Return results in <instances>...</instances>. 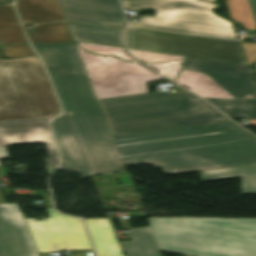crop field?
Listing matches in <instances>:
<instances>
[{
  "label": "crop field",
  "instance_id": "1",
  "mask_svg": "<svg viewBox=\"0 0 256 256\" xmlns=\"http://www.w3.org/2000/svg\"><path fill=\"white\" fill-rule=\"evenodd\" d=\"M93 174L150 163L170 174L256 163V137L231 121L112 136L74 43L33 45Z\"/></svg>",
  "mask_w": 256,
  "mask_h": 256
},
{
  "label": "crop field",
  "instance_id": "2",
  "mask_svg": "<svg viewBox=\"0 0 256 256\" xmlns=\"http://www.w3.org/2000/svg\"><path fill=\"white\" fill-rule=\"evenodd\" d=\"M60 111L38 57L0 60V121L46 119ZM35 142H45L52 174L59 158L47 121L0 123V158L8 157L3 146Z\"/></svg>",
  "mask_w": 256,
  "mask_h": 256
},
{
  "label": "crop field",
  "instance_id": "3",
  "mask_svg": "<svg viewBox=\"0 0 256 256\" xmlns=\"http://www.w3.org/2000/svg\"><path fill=\"white\" fill-rule=\"evenodd\" d=\"M98 101L113 135L228 120L189 92L165 91Z\"/></svg>",
  "mask_w": 256,
  "mask_h": 256
},
{
  "label": "crop field",
  "instance_id": "4",
  "mask_svg": "<svg viewBox=\"0 0 256 256\" xmlns=\"http://www.w3.org/2000/svg\"><path fill=\"white\" fill-rule=\"evenodd\" d=\"M161 251L256 256V219L148 218Z\"/></svg>",
  "mask_w": 256,
  "mask_h": 256
},
{
  "label": "crop field",
  "instance_id": "5",
  "mask_svg": "<svg viewBox=\"0 0 256 256\" xmlns=\"http://www.w3.org/2000/svg\"><path fill=\"white\" fill-rule=\"evenodd\" d=\"M125 8H153L157 29L238 39L232 22L218 17L204 0H121Z\"/></svg>",
  "mask_w": 256,
  "mask_h": 256
},
{
  "label": "crop field",
  "instance_id": "6",
  "mask_svg": "<svg viewBox=\"0 0 256 256\" xmlns=\"http://www.w3.org/2000/svg\"><path fill=\"white\" fill-rule=\"evenodd\" d=\"M128 48L248 64L239 41L233 42L158 30L129 27Z\"/></svg>",
  "mask_w": 256,
  "mask_h": 256
},
{
  "label": "crop field",
  "instance_id": "7",
  "mask_svg": "<svg viewBox=\"0 0 256 256\" xmlns=\"http://www.w3.org/2000/svg\"><path fill=\"white\" fill-rule=\"evenodd\" d=\"M80 56L98 99L147 93L144 83L162 78L140 64Z\"/></svg>",
  "mask_w": 256,
  "mask_h": 256
},
{
  "label": "crop field",
  "instance_id": "8",
  "mask_svg": "<svg viewBox=\"0 0 256 256\" xmlns=\"http://www.w3.org/2000/svg\"><path fill=\"white\" fill-rule=\"evenodd\" d=\"M50 219L36 221L24 216L39 252L92 249L78 218L47 208Z\"/></svg>",
  "mask_w": 256,
  "mask_h": 256
},
{
  "label": "crop field",
  "instance_id": "9",
  "mask_svg": "<svg viewBox=\"0 0 256 256\" xmlns=\"http://www.w3.org/2000/svg\"><path fill=\"white\" fill-rule=\"evenodd\" d=\"M181 68L207 75L235 99L256 100L254 72L250 66L185 57Z\"/></svg>",
  "mask_w": 256,
  "mask_h": 256
},
{
  "label": "crop field",
  "instance_id": "10",
  "mask_svg": "<svg viewBox=\"0 0 256 256\" xmlns=\"http://www.w3.org/2000/svg\"><path fill=\"white\" fill-rule=\"evenodd\" d=\"M0 256H38L17 203L0 204Z\"/></svg>",
  "mask_w": 256,
  "mask_h": 256
},
{
  "label": "crop field",
  "instance_id": "11",
  "mask_svg": "<svg viewBox=\"0 0 256 256\" xmlns=\"http://www.w3.org/2000/svg\"><path fill=\"white\" fill-rule=\"evenodd\" d=\"M66 20L125 27L117 0H58Z\"/></svg>",
  "mask_w": 256,
  "mask_h": 256
},
{
  "label": "crop field",
  "instance_id": "12",
  "mask_svg": "<svg viewBox=\"0 0 256 256\" xmlns=\"http://www.w3.org/2000/svg\"><path fill=\"white\" fill-rule=\"evenodd\" d=\"M181 64L182 63H164L147 65L202 97L234 99L207 76L180 69Z\"/></svg>",
  "mask_w": 256,
  "mask_h": 256
},
{
  "label": "crop field",
  "instance_id": "13",
  "mask_svg": "<svg viewBox=\"0 0 256 256\" xmlns=\"http://www.w3.org/2000/svg\"><path fill=\"white\" fill-rule=\"evenodd\" d=\"M62 155L61 171L80 172L81 178L90 177L89 170L73 136L65 115L52 121Z\"/></svg>",
  "mask_w": 256,
  "mask_h": 256
},
{
  "label": "crop field",
  "instance_id": "14",
  "mask_svg": "<svg viewBox=\"0 0 256 256\" xmlns=\"http://www.w3.org/2000/svg\"><path fill=\"white\" fill-rule=\"evenodd\" d=\"M75 41L124 48L125 29L66 22Z\"/></svg>",
  "mask_w": 256,
  "mask_h": 256
},
{
  "label": "crop field",
  "instance_id": "15",
  "mask_svg": "<svg viewBox=\"0 0 256 256\" xmlns=\"http://www.w3.org/2000/svg\"><path fill=\"white\" fill-rule=\"evenodd\" d=\"M22 23H42L65 20L57 0H16Z\"/></svg>",
  "mask_w": 256,
  "mask_h": 256
},
{
  "label": "crop field",
  "instance_id": "16",
  "mask_svg": "<svg viewBox=\"0 0 256 256\" xmlns=\"http://www.w3.org/2000/svg\"><path fill=\"white\" fill-rule=\"evenodd\" d=\"M97 256H124L107 218L85 219Z\"/></svg>",
  "mask_w": 256,
  "mask_h": 256
},
{
  "label": "crop field",
  "instance_id": "17",
  "mask_svg": "<svg viewBox=\"0 0 256 256\" xmlns=\"http://www.w3.org/2000/svg\"><path fill=\"white\" fill-rule=\"evenodd\" d=\"M241 177L242 195L256 193V164L200 171L201 182Z\"/></svg>",
  "mask_w": 256,
  "mask_h": 256
},
{
  "label": "crop field",
  "instance_id": "18",
  "mask_svg": "<svg viewBox=\"0 0 256 256\" xmlns=\"http://www.w3.org/2000/svg\"><path fill=\"white\" fill-rule=\"evenodd\" d=\"M128 231L132 240L121 242L127 256H161L150 227Z\"/></svg>",
  "mask_w": 256,
  "mask_h": 256
},
{
  "label": "crop field",
  "instance_id": "19",
  "mask_svg": "<svg viewBox=\"0 0 256 256\" xmlns=\"http://www.w3.org/2000/svg\"><path fill=\"white\" fill-rule=\"evenodd\" d=\"M0 40L3 45L28 44L12 6L0 7Z\"/></svg>",
  "mask_w": 256,
  "mask_h": 256
},
{
  "label": "crop field",
  "instance_id": "20",
  "mask_svg": "<svg viewBox=\"0 0 256 256\" xmlns=\"http://www.w3.org/2000/svg\"><path fill=\"white\" fill-rule=\"evenodd\" d=\"M39 35L29 36L32 44L74 42L65 22L35 26Z\"/></svg>",
  "mask_w": 256,
  "mask_h": 256
},
{
  "label": "crop field",
  "instance_id": "21",
  "mask_svg": "<svg viewBox=\"0 0 256 256\" xmlns=\"http://www.w3.org/2000/svg\"><path fill=\"white\" fill-rule=\"evenodd\" d=\"M232 119H256V101L204 98Z\"/></svg>",
  "mask_w": 256,
  "mask_h": 256
},
{
  "label": "crop field",
  "instance_id": "22",
  "mask_svg": "<svg viewBox=\"0 0 256 256\" xmlns=\"http://www.w3.org/2000/svg\"><path fill=\"white\" fill-rule=\"evenodd\" d=\"M231 18L244 23L248 29H255L254 18L247 0H226Z\"/></svg>",
  "mask_w": 256,
  "mask_h": 256
},
{
  "label": "crop field",
  "instance_id": "23",
  "mask_svg": "<svg viewBox=\"0 0 256 256\" xmlns=\"http://www.w3.org/2000/svg\"><path fill=\"white\" fill-rule=\"evenodd\" d=\"M75 44L77 46L78 51L82 53L132 59L126 53L125 49L100 46V45H94V44L78 43V42H75Z\"/></svg>",
  "mask_w": 256,
  "mask_h": 256
},
{
  "label": "crop field",
  "instance_id": "24",
  "mask_svg": "<svg viewBox=\"0 0 256 256\" xmlns=\"http://www.w3.org/2000/svg\"><path fill=\"white\" fill-rule=\"evenodd\" d=\"M140 61L184 59L182 56L167 55L129 49Z\"/></svg>",
  "mask_w": 256,
  "mask_h": 256
},
{
  "label": "crop field",
  "instance_id": "25",
  "mask_svg": "<svg viewBox=\"0 0 256 256\" xmlns=\"http://www.w3.org/2000/svg\"><path fill=\"white\" fill-rule=\"evenodd\" d=\"M3 49L8 59L36 56L29 45L3 46Z\"/></svg>",
  "mask_w": 256,
  "mask_h": 256
},
{
  "label": "crop field",
  "instance_id": "26",
  "mask_svg": "<svg viewBox=\"0 0 256 256\" xmlns=\"http://www.w3.org/2000/svg\"><path fill=\"white\" fill-rule=\"evenodd\" d=\"M138 22H130L131 26L156 29L155 18L151 16H138Z\"/></svg>",
  "mask_w": 256,
  "mask_h": 256
},
{
  "label": "crop field",
  "instance_id": "27",
  "mask_svg": "<svg viewBox=\"0 0 256 256\" xmlns=\"http://www.w3.org/2000/svg\"><path fill=\"white\" fill-rule=\"evenodd\" d=\"M241 44L243 46V49L245 51L249 64H252L253 62L256 61V43L254 44L241 43Z\"/></svg>",
  "mask_w": 256,
  "mask_h": 256
},
{
  "label": "crop field",
  "instance_id": "28",
  "mask_svg": "<svg viewBox=\"0 0 256 256\" xmlns=\"http://www.w3.org/2000/svg\"><path fill=\"white\" fill-rule=\"evenodd\" d=\"M248 2H249V5H250L252 14H253V16L255 18V21H256V0H248Z\"/></svg>",
  "mask_w": 256,
  "mask_h": 256
},
{
  "label": "crop field",
  "instance_id": "29",
  "mask_svg": "<svg viewBox=\"0 0 256 256\" xmlns=\"http://www.w3.org/2000/svg\"><path fill=\"white\" fill-rule=\"evenodd\" d=\"M3 58H7V57L2 49V46H0V59H3Z\"/></svg>",
  "mask_w": 256,
  "mask_h": 256
},
{
  "label": "crop field",
  "instance_id": "30",
  "mask_svg": "<svg viewBox=\"0 0 256 256\" xmlns=\"http://www.w3.org/2000/svg\"><path fill=\"white\" fill-rule=\"evenodd\" d=\"M10 3H12V0H0V5L10 4Z\"/></svg>",
  "mask_w": 256,
  "mask_h": 256
},
{
  "label": "crop field",
  "instance_id": "31",
  "mask_svg": "<svg viewBox=\"0 0 256 256\" xmlns=\"http://www.w3.org/2000/svg\"><path fill=\"white\" fill-rule=\"evenodd\" d=\"M128 11H140V10H133V9H127Z\"/></svg>",
  "mask_w": 256,
  "mask_h": 256
},
{
  "label": "crop field",
  "instance_id": "32",
  "mask_svg": "<svg viewBox=\"0 0 256 256\" xmlns=\"http://www.w3.org/2000/svg\"><path fill=\"white\" fill-rule=\"evenodd\" d=\"M208 1H212V2H214V3L216 2V0H208Z\"/></svg>",
  "mask_w": 256,
  "mask_h": 256
},
{
  "label": "crop field",
  "instance_id": "33",
  "mask_svg": "<svg viewBox=\"0 0 256 256\" xmlns=\"http://www.w3.org/2000/svg\"><path fill=\"white\" fill-rule=\"evenodd\" d=\"M254 76V79H255V82H256V75H253Z\"/></svg>",
  "mask_w": 256,
  "mask_h": 256
},
{
  "label": "crop field",
  "instance_id": "34",
  "mask_svg": "<svg viewBox=\"0 0 256 256\" xmlns=\"http://www.w3.org/2000/svg\"><path fill=\"white\" fill-rule=\"evenodd\" d=\"M0 45H2L1 42H0Z\"/></svg>",
  "mask_w": 256,
  "mask_h": 256
}]
</instances>
